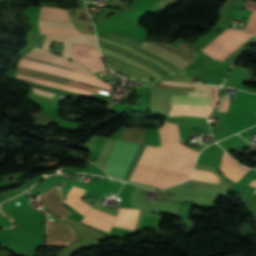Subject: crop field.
Instances as JSON below:
<instances>
[{"label": "crop field", "mask_w": 256, "mask_h": 256, "mask_svg": "<svg viewBox=\"0 0 256 256\" xmlns=\"http://www.w3.org/2000/svg\"><path fill=\"white\" fill-rule=\"evenodd\" d=\"M140 162L159 166L184 174H190L195 160L177 156L167 150L147 146ZM138 162L131 181L160 188L185 181L189 176Z\"/></svg>", "instance_id": "8a807250"}, {"label": "crop field", "mask_w": 256, "mask_h": 256, "mask_svg": "<svg viewBox=\"0 0 256 256\" xmlns=\"http://www.w3.org/2000/svg\"><path fill=\"white\" fill-rule=\"evenodd\" d=\"M188 96H173L169 116L195 115L208 117L212 111L207 89L195 88Z\"/></svg>", "instance_id": "ac0d7876"}, {"label": "crop field", "mask_w": 256, "mask_h": 256, "mask_svg": "<svg viewBox=\"0 0 256 256\" xmlns=\"http://www.w3.org/2000/svg\"><path fill=\"white\" fill-rule=\"evenodd\" d=\"M101 57L98 47L87 44H73L71 60L81 63L94 74L107 72Z\"/></svg>", "instance_id": "34b2d1b8"}, {"label": "crop field", "mask_w": 256, "mask_h": 256, "mask_svg": "<svg viewBox=\"0 0 256 256\" xmlns=\"http://www.w3.org/2000/svg\"><path fill=\"white\" fill-rule=\"evenodd\" d=\"M18 65L23 66V67H29V68L41 70V71H44V72H47L50 74L86 82V83L93 84V85H96L99 87H103V88H106L109 90H111V88H112V85L104 83L98 79H95V78H92V77H89V76H86L83 74H79L76 72L60 69V68H57L54 66L46 65V64H41V63H36V62L21 59V60H19Z\"/></svg>", "instance_id": "412701ff"}, {"label": "crop field", "mask_w": 256, "mask_h": 256, "mask_svg": "<svg viewBox=\"0 0 256 256\" xmlns=\"http://www.w3.org/2000/svg\"><path fill=\"white\" fill-rule=\"evenodd\" d=\"M245 36L247 35L242 34L241 30L227 29L204 49H202V51L217 60L221 55H223Z\"/></svg>", "instance_id": "f4fd0767"}, {"label": "crop field", "mask_w": 256, "mask_h": 256, "mask_svg": "<svg viewBox=\"0 0 256 256\" xmlns=\"http://www.w3.org/2000/svg\"><path fill=\"white\" fill-rule=\"evenodd\" d=\"M53 39L64 44L63 58L69 60L72 54V43H87L89 45L97 46L96 38L93 35H47L42 49L50 51Z\"/></svg>", "instance_id": "dd49c442"}, {"label": "crop field", "mask_w": 256, "mask_h": 256, "mask_svg": "<svg viewBox=\"0 0 256 256\" xmlns=\"http://www.w3.org/2000/svg\"><path fill=\"white\" fill-rule=\"evenodd\" d=\"M47 243L46 246L62 247L68 244L75 236V233L67 226L46 220Z\"/></svg>", "instance_id": "e52e79f7"}, {"label": "crop field", "mask_w": 256, "mask_h": 256, "mask_svg": "<svg viewBox=\"0 0 256 256\" xmlns=\"http://www.w3.org/2000/svg\"><path fill=\"white\" fill-rule=\"evenodd\" d=\"M17 74H22V75H26V76H31V77H35V78H39V79H44V80H48V81H52V82L65 84V85H70V86H74V87H78V88H82V89H87V90H91V91H95V92H99V93L101 91L99 89L92 88V87H96V86H93V85H89V84H86V83H82V82H78V81L73 80V82L85 84V85L92 86V87L84 86V85H81V84L73 83V82H71L70 79L50 75V74H47V73H44V72H41V71H37V70H33V69L18 67ZM96 88H99V87H96ZM100 89H102V88H100ZM102 90H106V89H102ZM106 91H109V90H106Z\"/></svg>", "instance_id": "d8731c3e"}, {"label": "crop field", "mask_w": 256, "mask_h": 256, "mask_svg": "<svg viewBox=\"0 0 256 256\" xmlns=\"http://www.w3.org/2000/svg\"><path fill=\"white\" fill-rule=\"evenodd\" d=\"M42 199L47 206L60 217H67L72 214L63 205L64 198L62 186H57L49 190L43 195Z\"/></svg>", "instance_id": "5a996713"}, {"label": "crop field", "mask_w": 256, "mask_h": 256, "mask_svg": "<svg viewBox=\"0 0 256 256\" xmlns=\"http://www.w3.org/2000/svg\"><path fill=\"white\" fill-rule=\"evenodd\" d=\"M99 37H102V38H106V39H109V40H112V41H115V42H118V43H121V44H124L130 48H133L157 61H159L160 63L168 66L169 68L173 69L174 71H176L179 75H182L184 74L183 71H181L179 68L175 67L174 65L156 57V56H153L149 53H147L146 51L140 49L139 47L141 46L142 44V41H138V40H134V39H131L125 35H121V34H117V33H110V34H106V35H102V36H99ZM175 72V73H176Z\"/></svg>", "instance_id": "3316defc"}, {"label": "crop field", "mask_w": 256, "mask_h": 256, "mask_svg": "<svg viewBox=\"0 0 256 256\" xmlns=\"http://www.w3.org/2000/svg\"><path fill=\"white\" fill-rule=\"evenodd\" d=\"M116 217L91 208L84 216L83 223L90 224L104 232L109 233Z\"/></svg>", "instance_id": "28ad6ade"}, {"label": "crop field", "mask_w": 256, "mask_h": 256, "mask_svg": "<svg viewBox=\"0 0 256 256\" xmlns=\"http://www.w3.org/2000/svg\"><path fill=\"white\" fill-rule=\"evenodd\" d=\"M220 169L223 173L234 179L235 181H239L243 175L249 170L241 166L235 160H233L226 152H224L222 156V163Z\"/></svg>", "instance_id": "d1516ede"}, {"label": "crop field", "mask_w": 256, "mask_h": 256, "mask_svg": "<svg viewBox=\"0 0 256 256\" xmlns=\"http://www.w3.org/2000/svg\"><path fill=\"white\" fill-rule=\"evenodd\" d=\"M107 63L109 64V66L111 67V69L120 72L122 74H125L129 77H134V78H141V79H152V80H156L154 79L152 76H150L149 74L138 70L136 68H133L129 65H126L122 62H119L113 58L104 56Z\"/></svg>", "instance_id": "22f410ed"}, {"label": "crop field", "mask_w": 256, "mask_h": 256, "mask_svg": "<svg viewBox=\"0 0 256 256\" xmlns=\"http://www.w3.org/2000/svg\"><path fill=\"white\" fill-rule=\"evenodd\" d=\"M139 211L136 209H120L114 226L135 230Z\"/></svg>", "instance_id": "cbeb9de0"}, {"label": "crop field", "mask_w": 256, "mask_h": 256, "mask_svg": "<svg viewBox=\"0 0 256 256\" xmlns=\"http://www.w3.org/2000/svg\"><path fill=\"white\" fill-rule=\"evenodd\" d=\"M140 48L174 64L175 66L179 67L183 71L188 66V64L182 62L181 60L175 58L174 56L168 54L167 52L163 51L162 49L156 47L155 45H153L149 42H144Z\"/></svg>", "instance_id": "5142ce71"}, {"label": "crop field", "mask_w": 256, "mask_h": 256, "mask_svg": "<svg viewBox=\"0 0 256 256\" xmlns=\"http://www.w3.org/2000/svg\"><path fill=\"white\" fill-rule=\"evenodd\" d=\"M39 18L53 20V21H61V22L70 21V18L68 16L66 9L50 8V7H42Z\"/></svg>", "instance_id": "d9b57169"}, {"label": "crop field", "mask_w": 256, "mask_h": 256, "mask_svg": "<svg viewBox=\"0 0 256 256\" xmlns=\"http://www.w3.org/2000/svg\"><path fill=\"white\" fill-rule=\"evenodd\" d=\"M99 44H100L101 48H104V49H107V50H110V51H113V52H117V53L123 54V55H125V56H127V57H129V58H131V59H133V60H135V61H137V62H139V63H141V64H143V65H145V66H147V67L157 71V72H159L163 77L169 76V74L167 72L163 71L162 69H160L156 65H154V64H152V63H150V62H148V61H146L144 59H141V58H139V57H137V56H135V55H133L131 53H128V52H126V51H124V50H122L120 48H117V47H114V46H111V45H108V44H104V43H101V42H99Z\"/></svg>", "instance_id": "733c2abd"}, {"label": "crop field", "mask_w": 256, "mask_h": 256, "mask_svg": "<svg viewBox=\"0 0 256 256\" xmlns=\"http://www.w3.org/2000/svg\"><path fill=\"white\" fill-rule=\"evenodd\" d=\"M83 192V189L73 187L65 202L84 215L91 207L80 200Z\"/></svg>", "instance_id": "4a817a6b"}, {"label": "crop field", "mask_w": 256, "mask_h": 256, "mask_svg": "<svg viewBox=\"0 0 256 256\" xmlns=\"http://www.w3.org/2000/svg\"><path fill=\"white\" fill-rule=\"evenodd\" d=\"M159 131L162 145L180 140L176 124L165 122Z\"/></svg>", "instance_id": "bc2a9ffb"}, {"label": "crop field", "mask_w": 256, "mask_h": 256, "mask_svg": "<svg viewBox=\"0 0 256 256\" xmlns=\"http://www.w3.org/2000/svg\"><path fill=\"white\" fill-rule=\"evenodd\" d=\"M100 49H101V48H100ZM101 52H102V54H104V55L113 57V58H115V59H117V60H120V61H122V62H124V63H126V64H129V65H131V66H133V67H136V68H138V69H141V70H143V71L149 73L150 75H152V76L155 77L156 79L162 78V76H161L160 74H158L157 72H155V71H153V70H151V69H149V68H147V67H145V66H143V65H140V64H138V63H136V62H134V61H132V60H130V59H128V58H126V57L120 55V54H116V53H113V52H110V51H107V50H104V49H101Z\"/></svg>", "instance_id": "214f88e0"}, {"label": "crop field", "mask_w": 256, "mask_h": 256, "mask_svg": "<svg viewBox=\"0 0 256 256\" xmlns=\"http://www.w3.org/2000/svg\"><path fill=\"white\" fill-rule=\"evenodd\" d=\"M145 131L144 128H125L121 139L143 144Z\"/></svg>", "instance_id": "92a150f3"}, {"label": "crop field", "mask_w": 256, "mask_h": 256, "mask_svg": "<svg viewBox=\"0 0 256 256\" xmlns=\"http://www.w3.org/2000/svg\"><path fill=\"white\" fill-rule=\"evenodd\" d=\"M29 55H32V56H37V57H43V58H48V59H53V60H57V61H60V62H63V63H66V64H70V65H73L91 75H93L92 73H90L89 71H87L82 65L78 64V63H75V62H71V61H68V60H65L61 57H58V56H55L51 53H48L42 49H39V48H34L32 51H30L28 53ZM95 76V75H94ZM97 77V76H96Z\"/></svg>", "instance_id": "dafd665d"}, {"label": "crop field", "mask_w": 256, "mask_h": 256, "mask_svg": "<svg viewBox=\"0 0 256 256\" xmlns=\"http://www.w3.org/2000/svg\"><path fill=\"white\" fill-rule=\"evenodd\" d=\"M161 147L163 149H167L177 155H181V156H186V157H191V158H195L198 155V152L183 146L182 144L176 142L174 144H170V145H165V146H158Z\"/></svg>", "instance_id": "00972430"}, {"label": "crop field", "mask_w": 256, "mask_h": 256, "mask_svg": "<svg viewBox=\"0 0 256 256\" xmlns=\"http://www.w3.org/2000/svg\"><path fill=\"white\" fill-rule=\"evenodd\" d=\"M97 38L100 41H103L105 43H108V44H111V45H114V46H117V47H120V48H123V49H125V50H127V51H129V52H131V53H133V54H135L137 56H139V57H142V58H144V59H146V60L156 64L160 68L166 70L170 75L175 74V72L172 71L171 69H169L168 67H166V66L160 64L159 62H157V61H155V60H153V59H151V58H149V57H147V56H145V55H143V54H141L139 52H136V51H134V50L124 46V45H121V44H118V43H115V42H112V41H109V40H105V39H102V38H99V37H97Z\"/></svg>", "instance_id": "a9b5d70f"}, {"label": "crop field", "mask_w": 256, "mask_h": 256, "mask_svg": "<svg viewBox=\"0 0 256 256\" xmlns=\"http://www.w3.org/2000/svg\"><path fill=\"white\" fill-rule=\"evenodd\" d=\"M247 9L256 12V1L248 0ZM252 13L244 32L256 35V13Z\"/></svg>", "instance_id": "4177f3b9"}, {"label": "crop field", "mask_w": 256, "mask_h": 256, "mask_svg": "<svg viewBox=\"0 0 256 256\" xmlns=\"http://www.w3.org/2000/svg\"><path fill=\"white\" fill-rule=\"evenodd\" d=\"M22 58H26V59H31V60H35V61H39V62H43V63H47V64H50V65H54V66H57V67H60V68H64V69H68V70H72V71H76V72H80V73H83V74H86V75H89L75 67H71L69 65H66V64H63V63H60V62H57V61H53V60H48V59H42V58H37V57H32V56H29V55H24ZM91 76V75H89ZM94 77V76H92ZM96 78V77H95Z\"/></svg>", "instance_id": "730fd06b"}, {"label": "crop field", "mask_w": 256, "mask_h": 256, "mask_svg": "<svg viewBox=\"0 0 256 256\" xmlns=\"http://www.w3.org/2000/svg\"><path fill=\"white\" fill-rule=\"evenodd\" d=\"M191 179L219 183V179L216 175L208 171L197 170V169L194 170Z\"/></svg>", "instance_id": "eef30255"}, {"label": "crop field", "mask_w": 256, "mask_h": 256, "mask_svg": "<svg viewBox=\"0 0 256 256\" xmlns=\"http://www.w3.org/2000/svg\"><path fill=\"white\" fill-rule=\"evenodd\" d=\"M16 78L26 79V80L34 81V82L41 83L44 85H48V86H52V87H56V88H60V89H64V90L74 91V92H80V93H86V94L92 93V92H87V91H83V90H79V89H75V88H71V87H67V86H63V85L35 79V78L20 76V75H17Z\"/></svg>", "instance_id": "ae1a2a85"}, {"label": "crop field", "mask_w": 256, "mask_h": 256, "mask_svg": "<svg viewBox=\"0 0 256 256\" xmlns=\"http://www.w3.org/2000/svg\"><path fill=\"white\" fill-rule=\"evenodd\" d=\"M40 34H81L76 29L40 28Z\"/></svg>", "instance_id": "d3111659"}, {"label": "crop field", "mask_w": 256, "mask_h": 256, "mask_svg": "<svg viewBox=\"0 0 256 256\" xmlns=\"http://www.w3.org/2000/svg\"><path fill=\"white\" fill-rule=\"evenodd\" d=\"M39 27L74 28L72 23H52L39 20Z\"/></svg>", "instance_id": "750c4746"}, {"label": "crop field", "mask_w": 256, "mask_h": 256, "mask_svg": "<svg viewBox=\"0 0 256 256\" xmlns=\"http://www.w3.org/2000/svg\"><path fill=\"white\" fill-rule=\"evenodd\" d=\"M251 37H252L251 35H248L247 37H245L242 41H240L238 44H236L233 48H231L228 52H226L219 59L224 61L227 56H229L232 52H234L237 48H239L242 44H244Z\"/></svg>", "instance_id": "bd1437ed"}, {"label": "crop field", "mask_w": 256, "mask_h": 256, "mask_svg": "<svg viewBox=\"0 0 256 256\" xmlns=\"http://www.w3.org/2000/svg\"><path fill=\"white\" fill-rule=\"evenodd\" d=\"M208 91H209V87H208ZM210 94H211L212 101H213L214 105L216 106V104L218 102V87L217 86H211L210 87ZM213 103H212V105H213ZM214 105H213V109H214Z\"/></svg>", "instance_id": "1d83c4d3"}, {"label": "crop field", "mask_w": 256, "mask_h": 256, "mask_svg": "<svg viewBox=\"0 0 256 256\" xmlns=\"http://www.w3.org/2000/svg\"><path fill=\"white\" fill-rule=\"evenodd\" d=\"M156 87L170 89V90H176V91H194V88L173 87V86H167V85H162V84H159Z\"/></svg>", "instance_id": "120bbe31"}, {"label": "crop field", "mask_w": 256, "mask_h": 256, "mask_svg": "<svg viewBox=\"0 0 256 256\" xmlns=\"http://www.w3.org/2000/svg\"><path fill=\"white\" fill-rule=\"evenodd\" d=\"M168 80L194 83V77H189V76H177Z\"/></svg>", "instance_id": "d32e631a"}, {"label": "crop field", "mask_w": 256, "mask_h": 256, "mask_svg": "<svg viewBox=\"0 0 256 256\" xmlns=\"http://www.w3.org/2000/svg\"><path fill=\"white\" fill-rule=\"evenodd\" d=\"M34 93H38V94H41V95H44V96H47V97H50L52 98L55 93H51V92H47V91H43V90H39V89H35V88H31Z\"/></svg>", "instance_id": "5866460e"}, {"label": "crop field", "mask_w": 256, "mask_h": 256, "mask_svg": "<svg viewBox=\"0 0 256 256\" xmlns=\"http://www.w3.org/2000/svg\"><path fill=\"white\" fill-rule=\"evenodd\" d=\"M255 193H256V191H255Z\"/></svg>", "instance_id": "028f5c9d"}]
</instances>
